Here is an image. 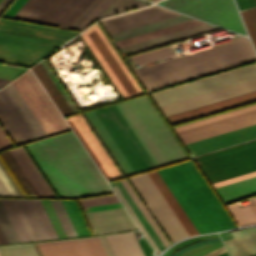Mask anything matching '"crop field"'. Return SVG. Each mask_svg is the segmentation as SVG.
I'll list each match as a JSON object with an SVG mask.
<instances>
[{"label":"crop field","instance_id":"obj_1","mask_svg":"<svg viewBox=\"0 0 256 256\" xmlns=\"http://www.w3.org/2000/svg\"><path fill=\"white\" fill-rule=\"evenodd\" d=\"M25 148L58 197L112 192L73 132Z\"/></svg>","mask_w":256,"mask_h":256},{"label":"crop field","instance_id":"obj_2","mask_svg":"<svg viewBox=\"0 0 256 256\" xmlns=\"http://www.w3.org/2000/svg\"><path fill=\"white\" fill-rule=\"evenodd\" d=\"M157 172L200 234L235 228L191 160Z\"/></svg>","mask_w":256,"mask_h":256},{"label":"crop field","instance_id":"obj_3","mask_svg":"<svg viewBox=\"0 0 256 256\" xmlns=\"http://www.w3.org/2000/svg\"><path fill=\"white\" fill-rule=\"evenodd\" d=\"M116 107L156 166L186 159L146 96L116 104Z\"/></svg>","mask_w":256,"mask_h":256},{"label":"crop field","instance_id":"obj_4","mask_svg":"<svg viewBox=\"0 0 256 256\" xmlns=\"http://www.w3.org/2000/svg\"><path fill=\"white\" fill-rule=\"evenodd\" d=\"M74 35L0 19V61L31 66Z\"/></svg>","mask_w":256,"mask_h":256},{"label":"crop field","instance_id":"obj_5","mask_svg":"<svg viewBox=\"0 0 256 256\" xmlns=\"http://www.w3.org/2000/svg\"><path fill=\"white\" fill-rule=\"evenodd\" d=\"M207 179L212 182L256 170V141L199 157Z\"/></svg>","mask_w":256,"mask_h":256},{"label":"crop field","instance_id":"obj_6","mask_svg":"<svg viewBox=\"0 0 256 256\" xmlns=\"http://www.w3.org/2000/svg\"><path fill=\"white\" fill-rule=\"evenodd\" d=\"M81 37L93 52L123 98L142 94V91L97 24L81 34Z\"/></svg>","mask_w":256,"mask_h":256},{"label":"crop field","instance_id":"obj_7","mask_svg":"<svg viewBox=\"0 0 256 256\" xmlns=\"http://www.w3.org/2000/svg\"><path fill=\"white\" fill-rule=\"evenodd\" d=\"M136 172L155 167L115 105L94 110ZM132 167V168H133ZM134 170V171H135Z\"/></svg>","mask_w":256,"mask_h":256},{"label":"crop field","instance_id":"obj_8","mask_svg":"<svg viewBox=\"0 0 256 256\" xmlns=\"http://www.w3.org/2000/svg\"><path fill=\"white\" fill-rule=\"evenodd\" d=\"M166 7L246 35L233 0H165Z\"/></svg>","mask_w":256,"mask_h":256},{"label":"crop field","instance_id":"obj_9","mask_svg":"<svg viewBox=\"0 0 256 256\" xmlns=\"http://www.w3.org/2000/svg\"><path fill=\"white\" fill-rule=\"evenodd\" d=\"M200 23H202V22H200L196 19H193V20H189V21H186V22H182V23H179V24L172 25V26H168V27H165V28H161V29H158V30H155V31L144 33V34H141V35H137V36L130 37V38H127V39H123V40H120V41H116L115 43H116L117 47H120V46H124V45L131 44V43H134V42H138V41H141V40H145V39H148V38H152V37H155V36H159V35H162V34H165V33H169V32H172V31H176V30H179V29H183V28H186V27L197 25V24H200ZM215 29H219V28L214 27L212 25H209L207 23H204V24H200V25H197V26H193V27H190V28L183 29V30H179V31H176V32H172V33H169V34H165V35H162V36H159V37H155V38H152V39H148V40L141 41V42H138V43H134V44H131V45H127V46H124V47H120V50L123 53V55H125V54H129V53H132V52L147 49V48H150V47L165 44V43H168V42L183 39V38H186V37L201 34V33H204V32L212 31V30H215Z\"/></svg>","mask_w":256,"mask_h":256},{"label":"crop field","instance_id":"obj_10","mask_svg":"<svg viewBox=\"0 0 256 256\" xmlns=\"http://www.w3.org/2000/svg\"><path fill=\"white\" fill-rule=\"evenodd\" d=\"M106 180L122 177L81 114L66 119Z\"/></svg>","mask_w":256,"mask_h":256},{"label":"crop field","instance_id":"obj_11","mask_svg":"<svg viewBox=\"0 0 256 256\" xmlns=\"http://www.w3.org/2000/svg\"><path fill=\"white\" fill-rule=\"evenodd\" d=\"M76 2L77 0H27L12 18L56 26Z\"/></svg>","mask_w":256,"mask_h":256},{"label":"crop field","instance_id":"obj_12","mask_svg":"<svg viewBox=\"0 0 256 256\" xmlns=\"http://www.w3.org/2000/svg\"><path fill=\"white\" fill-rule=\"evenodd\" d=\"M48 135L64 131L51 109L39 94L28 76L23 74L12 82Z\"/></svg>","mask_w":256,"mask_h":256},{"label":"crop field","instance_id":"obj_13","mask_svg":"<svg viewBox=\"0 0 256 256\" xmlns=\"http://www.w3.org/2000/svg\"><path fill=\"white\" fill-rule=\"evenodd\" d=\"M180 15L157 5H152L109 19L102 20V24L109 34Z\"/></svg>","mask_w":256,"mask_h":256},{"label":"crop field","instance_id":"obj_14","mask_svg":"<svg viewBox=\"0 0 256 256\" xmlns=\"http://www.w3.org/2000/svg\"><path fill=\"white\" fill-rule=\"evenodd\" d=\"M113 0H78L57 26L82 30L106 10Z\"/></svg>","mask_w":256,"mask_h":256},{"label":"crop field","instance_id":"obj_15","mask_svg":"<svg viewBox=\"0 0 256 256\" xmlns=\"http://www.w3.org/2000/svg\"><path fill=\"white\" fill-rule=\"evenodd\" d=\"M85 217L94 234L137 228L124 208L87 213Z\"/></svg>","mask_w":256,"mask_h":256},{"label":"crop field","instance_id":"obj_16","mask_svg":"<svg viewBox=\"0 0 256 256\" xmlns=\"http://www.w3.org/2000/svg\"><path fill=\"white\" fill-rule=\"evenodd\" d=\"M255 100H256V92H253V93H249V94L235 97L232 99H228V100H224V101L217 102L214 104H210L207 106H203V107H199V108L192 109L189 111H185L182 113L167 116L166 118H167L168 122L170 123V125H172V124L190 120V119H193L196 117H200L203 115H207L210 113H214L217 111H221L224 109L242 105V104H245L248 102H252Z\"/></svg>","mask_w":256,"mask_h":256},{"label":"crop field","instance_id":"obj_17","mask_svg":"<svg viewBox=\"0 0 256 256\" xmlns=\"http://www.w3.org/2000/svg\"><path fill=\"white\" fill-rule=\"evenodd\" d=\"M84 116L91 124V126L93 127L103 144L106 146L118 166L121 168L125 176L135 173L134 169L132 168L124 154L121 152L117 144L114 142L108 131L105 129L99 118L96 116L94 111L84 113Z\"/></svg>","mask_w":256,"mask_h":256},{"label":"crop field","instance_id":"obj_18","mask_svg":"<svg viewBox=\"0 0 256 256\" xmlns=\"http://www.w3.org/2000/svg\"><path fill=\"white\" fill-rule=\"evenodd\" d=\"M234 239L224 243L231 256H256V228L231 232Z\"/></svg>","mask_w":256,"mask_h":256},{"label":"crop field","instance_id":"obj_19","mask_svg":"<svg viewBox=\"0 0 256 256\" xmlns=\"http://www.w3.org/2000/svg\"><path fill=\"white\" fill-rule=\"evenodd\" d=\"M114 256H144L133 232L105 236Z\"/></svg>","mask_w":256,"mask_h":256},{"label":"crop field","instance_id":"obj_20","mask_svg":"<svg viewBox=\"0 0 256 256\" xmlns=\"http://www.w3.org/2000/svg\"><path fill=\"white\" fill-rule=\"evenodd\" d=\"M224 204L256 194V177L215 188Z\"/></svg>","mask_w":256,"mask_h":256},{"label":"crop field","instance_id":"obj_21","mask_svg":"<svg viewBox=\"0 0 256 256\" xmlns=\"http://www.w3.org/2000/svg\"><path fill=\"white\" fill-rule=\"evenodd\" d=\"M148 175L150 176V178L152 179V181L154 182V184L156 185V187L158 188V190L160 191L168 205L171 207V209L173 210V212L175 213V215L177 216V218L179 219V221L181 222L189 236L198 234V232L196 231L190 220L187 218V216L185 215V213L183 212V210L181 209V207L179 206V204L177 203V201L175 200L167 186L164 184L156 170L148 172Z\"/></svg>","mask_w":256,"mask_h":256},{"label":"crop field","instance_id":"obj_22","mask_svg":"<svg viewBox=\"0 0 256 256\" xmlns=\"http://www.w3.org/2000/svg\"><path fill=\"white\" fill-rule=\"evenodd\" d=\"M17 150L19 151V153L21 154V156L23 157V159L26 161V163L28 164V166L30 167V169L32 170V172L34 173V175L36 176V178L38 179V181L40 182V184L43 186V188L45 189V191L47 192V194L49 195V197H55V195L53 194V192L51 191V189L48 187V185L46 184V182L44 181V179L42 178V176L40 175V173L37 171V169L35 168V166L33 165V163L31 162V160L29 159V157L26 155V153L24 152V150L22 149V147L17 148ZM16 150V148L11 149V152L13 153V155L15 156V158L17 159V161L20 163V165L22 166V168L24 169V171L26 172V174L28 175V177L30 178V180L32 181V183L35 185V187L37 188V190L39 191V193L41 194V196L44 197H48V195L46 194V192L44 191V189L42 188V186L39 184V182L37 181V179L35 178V176L33 175V173L31 172V170L29 169V167L27 166V164L25 163V161L22 159V157L20 156V154L18 153V151ZM10 151V150H9ZM11 153V154H12ZM18 163V164H19ZM20 166V167H21ZM22 169V170H23ZM24 172V173H25ZM26 175V176H27ZM33 185V186H34ZM35 188V189H36ZM37 191V192H38ZM39 194V195H40Z\"/></svg>","mask_w":256,"mask_h":256},{"label":"crop field","instance_id":"obj_23","mask_svg":"<svg viewBox=\"0 0 256 256\" xmlns=\"http://www.w3.org/2000/svg\"><path fill=\"white\" fill-rule=\"evenodd\" d=\"M32 70L47 91V93L50 95L62 115L71 114L72 111L70 110V108L68 107V105L44 71V69L41 67V65L37 64L35 67L32 68Z\"/></svg>","mask_w":256,"mask_h":256},{"label":"crop field","instance_id":"obj_24","mask_svg":"<svg viewBox=\"0 0 256 256\" xmlns=\"http://www.w3.org/2000/svg\"><path fill=\"white\" fill-rule=\"evenodd\" d=\"M115 183H116L115 185L116 188L121 193V195L129 205L131 210L134 212V214L136 215V217L138 218L142 226L145 228V230L147 231V233L149 234L153 242L156 244L158 249L162 250L163 248H165L162 242L160 241V239L158 238V236L156 235V233L154 232V230L152 229V227L150 226V224L148 223V221L146 220V218L144 217V215L141 213V211L139 210V208L137 207V205L135 204V202L133 201V199L131 198V196L129 195V193L121 183V181H117Z\"/></svg>","mask_w":256,"mask_h":256},{"label":"crop field","instance_id":"obj_25","mask_svg":"<svg viewBox=\"0 0 256 256\" xmlns=\"http://www.w3.org/2000/svg\"><path fill=\"white\" fill-rule=\"evenodd\" d=\"M189 19H193V18H189V17L183 16V15H180V16H176V17H173V18L158 21V22H155V23L140 26V27H137V28L122 31V32H119V33L111 34V37L114 39V41H116V40H120V39L127 38V37H130V36H134V35H137V34H141V33H144V32H148V31H151V30H154V29H158V28H161V27H165V26H168V25H172V24H175V23L186 21V20H189Z\"/></svg>","mask_w":256,"mask_h":256},{"label":"crop field","instance_id":"obj_26","mask_svg":"<svg viewBox=\"0 0 256 256\" xmlns=\"http://www.w3.org/2000/svg\"><path fill=\"white\" fill-rule=\"evenodd\" d=\"M0 165L5 171V173L8 175V177L10 178V180L12 181L16 189L19 191L21 196H24V194L22 193V191L20 190V188L18 187V185L16 184L12 176L9 174V172L7 171V169L5 168L1 160H0ZM1 167H0V196H20V194L15 189V187L13 186V184L11 183L9 178L6 176V174L4 173Z\"/></svg>","mask_w":256,"mask_h":256},{"label":"crop field","instance_id":"obj_27","mask_svg":"<svg viewBox=\"0 0 256 256\" xmlns=\"http://www.w3.org/2000/svg\"><path fill=\"white\" fill-rule=\"evenodd\" d=\"M149 4L141 0H114L101 17Z\"/></svg>","mask_w":256,"mask_h":256},{"label":"crop field","instance_id":"obj_28","mask_svg":"<svg viewBox=\"0 0 256 256\" xmlns=\"http://www.w3.org/2000/svg\"><path fill=\"white\" fill-rule=\"evenodd\" d=\"M122 183L124 184V186L130 193L132 198L135 200V202L137 203V205L139 206V208L141 209V211L143 212V214L145 215V217L147 218V220L149 221V223L151 224V226L153 227V229L158 234V236L160 237V239L162 240V242L167 248L170 245L169 242L167 241L163 233L160 231V229L158 228V226L156 225V223L154 222V220L152 219L148 211L145 209V207L143 206V204L141 203V201L139 200V198L137 197L133 189L130 187L126 179L122 180Z\"/></svg>","mask_w":256,"mask_h":256},{"label":"crop field","instance_id":"obj_29","mask_svg":"<svg viewBox=\"0 0 256 256\" xmlns=\"http://www.w3.org/2000/svg\"><path fill=\"white\" fill-rule=\"evenodd\" d=\"M0 226L9 243L20 241L0 200Z\"/></svg>","mask_w":256,"mask_h":256},{"label":"crop field","instance_id":"obj_30","mask_svg":"<svg viewBox=\"0 0 256 256\" xmlns=\"http://www.w3.org/2000/svg\"><path fill=\"white\" fill-rule=\"evenodd\" d=\"M68 237L77 236L60 200H50Z\"/></svg>","mask_w":256,"mask_h":256},{"label":"crop field","instance_id":"obj_31","mask_svg":"<svg viewBox=\"0 0 256 256\" xmlns=\"http://www.w3.org/2000/svg\"><path fill=\"white\" fill-rule=\"evenodd\" d=\"M255 108H256V105H253V106L246 107V108H243V109H239V110H236V111H232V112H229V113H226V114H222V115H219V116L208 118V119H205V120H202V121H198V122H195V123L184 125V126H181V127H178V128H174V130H175V132L181 131V130H184V129H187V128L198 126V125H201V124H204V123L215 121V120H218V119H221V118H225V117L235 115V114H238V113H242V112L252 110V109H255Z\"/></svg>","mask_w":256,"mask_h":256},{"label":"crop field","instance_id":"obj_32","mask_svg":"<svg viewBox=\"0 0 256 256\" xmlns=\"http://www.w3.org/2000/svg\"><path fill=\"white\" fill-rule=\"evenodd\" d=\"M81 208L103 204L117 203L119 200L115 195L78 200Z\"/></svg>","mask_w":256,"mask_h":256},{"label":"crop field","instance_id":"obj_33","mask_svg":"<svg viewBox=\"0 0 256 256\" xmlns=\"http://www.w3.org/2000/svg\"><path fill=\"white\" fill-rule=\"evenodd\" d=\"M41 65L43 66V68L45 69V71L47 72V74L49 75V77L51 78V80L53 81V83L55 84V86L57 87V89L59 90V92L61 93V95L63 96V98L65 99V101L67 102V104L69 105V107L71 108V110L73 111V113L78 112V109L76 108V106L73 104V102L71 101V99L69 98V96L67 95V93L64 91V89L62 88V86L60 85V83L58 82V80L55 78V76L53 75V73L51 72V70L49 69V67L46 65V63L43 61L40 62ZM39 63V64H40ZM41 66V67H42Z\"/></svg>","mask_w":256,"mask_h":256},{"label":"crop field","instance_id":"obj_34","mask_svg":"<svg viewBox=\"0 0 256 256\" xmlns=\"http://www.w3.org/2000/svg\"><path fill=\"white\" fill-rule=\"evenodd\" d=\"M27 75L29 76V78L32 80V82L34 83V85L36 86V88L38 89V91L40 92V94L43 96V98L45 99V101L47 102V104L49 105V107L52 109V111L54 112V114L56 115V117L58 118V120L60 121V123L63 125V127L65 128V130H68V126L66 125V123L64 122V120L62 119V117L60 116V114L58 113V111L56 110V108L54 107V105L52 104V102L50 101V99L47 97V95L45 94V92L43 91V89L41 88V86L39 85V83L37 82V80L35 79V77L33 76V74L31 73V71L26 72ZM61 125V126H62Z\"/></svg>","mask_w":256,"mask_h":256},{"label":"crop field","instance_id":"obj_35","mask_svg":"<svg viewBox=\"0 0 256 256\" xmlns=\"http://www.w3.org/2000/svg\"><path fill=\"white\" fill-rule=\"evenodd\" d=\"M253 176H256V172H252V173H248V174L241 175V176H238V177L223 180V181H220V182L212 183V186H213V188H215V187H219V186H222V185H225V184H229V183L236 182V181H239V180H243V179L253 177Z\"/></svg>","mask_w":256,"mask_h":256},{"label":"crop field","instance_id":"obj_36","mask_svg":"<svg viewBox=\"0 0 256 256\" xmlns=\"http://www.w3.org/2000/svg\"><path fill=\"white\" fill-rule=\"evenodd\" d=\"M241 14L243 16V19H244L246 27L248 29L249 35H250V37L252 39V42L254 44V47L256 49V34H255V31H254L253 26L251 24V21L249 19L248 13L245 10V11H242Z\"/></svg>","mask_w":256,"mask_h":256},{"label":"crop field","instance_id":"obj_37","mask_svg":"<svg viewBox=\"0 0 256 256\" xmlns=\"http://www.w3.org/2000/svg\"><path fill=\"white\" fill-rule=\"evenodd\" d=\"M218 240H220L219 237H217V238H212V239H208V240H204V241H200V242H197V243H193V244H191V245H189V246H187V247L181 249L180 251L176 252V253L173 254L172 256H177V255H179L180 253H182V252H184V251H186V250H188V249H191V248H193V247H196V246H199V245H202V244H206V243H210V242H214V241H218Z\"/></svg>","mask_w":256,"mask_h":256},{"label":"crop field","instance_id":"obj_38","mask_svg":"<svg viewBox=\"0 0 256 256\" xmlns=\"http://www.w3.org/2000/svg\"><path fill=\"white\" fill-rule=\"evenodd\" d=\"M120 207H122L121 203H117V204H111V205L91 207L87 209L89 212H93V211L107 210V209L120 208ZM84 213H87V212H84Z\"/></svg>","mask_w":256,"mask_h":256},{"label":"crop field","instance_id":"obj_39","mask_svg":"<svg viewBox=\"0 0 256 256\" xmlns=\"http://www.w3.org/2000/svg\"><path fill=\"white\" fill-rule=\"evenodd\" d=\"M12 146V143L0 127V149Z\"/></svg>","mask_w":256,"mask_h":256},{"label":"crop field","instance_id":"obj_40","mask_svg":"<svg viewBox=\"0 0 256 256\" xmlns=\"http://www.w3.org/2000/svg\"><path fill=\"white\" fill-rule=\"evenodd\" d=\"M115 189V191L117 192V194L120 196V198L122 199V201L124 202V204L126 205V207L128 208V210L131 212V214L133 215V217L135 218V220L137 221V223L140 225V227L142 228L146 238L149 240V242L154 246V248L158 251V249L156 248V246L154 245V243L151 241V239L149 238V236L147 235V233L145 232V230L143 229V227L141 226V224L139 223V221L136 219V217L134 216V214L132 213V211L130 210V208L128 207V205L126 204V202L124 201V199L121 197V195L119 194V192L117 191V189L115 188V186L113 187ZM158 253H160L158 251Z\"/></svg>","mask_w":256,"mask_h":256},{"label":"crop field","instance_id":"obj_41","mask_svg":"<svg viewBox=\"0 0 256 256\" xmlns=\"http://www.w3.org/2000/svg\"><path fill=\"white\" fill-rule=\"evenodd\" d=\"M107 256H113L112 251L104 236L98 237Z\"/></svg>","mask_w":256,"mask_h":256},{"label":"crop field","instance_id":"obj_42","mask_svg":"<svg viewBox=\"0 0 256 256\" xmlns=\"http://www.w3.org/2000/svg\"><path fill=\"white\" fill-rule=\"evenodd\" d=\"M247 11L249 13L250 19L256 31V8L248 9Z\"/></svg>","mask_w":256,"mask_h":256},{"label":"crop field","instance_id":"obj_43","mask_svg":"<svg viewBox=\"0 0 256 256\" xmlns=\"http://www.w3.org/2000/svg\"><path fill=\"white\" fill-rule=\"evenodd\" d=\"M225 251L226 250H225L224 246H222V247H220V248H218V249H216V250H214V251H212V252H210V253H208L204 256H217V255H219V254H221Z\"/></svg>","mask_w":256,"mask_h":256},{"label":"crop field","instance_id":"obj_44","mask_svg":"<svg viewBox=\"0 0 256 256\" xmlns=\"http://www.w3.org/2000/svg\"><path fill=\"white\" fill-rule=\"evenodd\" d=\"M236 2L240 10L250 8L247 0H236Z\"/></svg>","mask_w":256,"mask_h":256},{"label":"crop field","instance_id":"obj_45","mask_svg":"<svg viewBox=\"0 0 256 256\" xmlns=\"http://www.w3.org/2000/svg\"><path fill=\"white\" fill-rule=\"evenodd\" d=\"M12 0H2L0 2V13L5 9V7L11 2Z\"/></svg>","mask_w":256,"mask_h":256},{"label":"crop field","instance_id":"obj_46","mask_svg":"<svg viewBox=\"0 0 256 256\" xmlns=\"http://www.w3.org/2000/svg\"><path fill=\"white\" fill-rule=\"evenodd\" d=\"M2 243H8V242H7L5 236H4V234H3V232L0 228V244H2Z\"/></svg>","mask_w":256,"mask_h":256},{"label":"crop field","instance_id":"obj_47","mask_svg":"<svg viewBox=\"0 0 256 256\" xmlns=\"http://www.w3.org/2000/svg\"><path fill=\"white\" fill-rule=\"evenodd\" d=\"M248 2L251 8L256 6V0H248Z\"/></svg>","mask_w":256,"mask_h":256},{"label":"crop field","instance_id":"obj_48","mask_svg":"<svg viewBox=\"0 0 256 256\" xmlns=\"http://www.w3.org/2000/svg\"><path fill=\"white\" fill-rule=\"evenodd\" d=\"M1 1V0H0Z\"/></svg>","mask_w":256,"mask_h":256}]
</instances>
